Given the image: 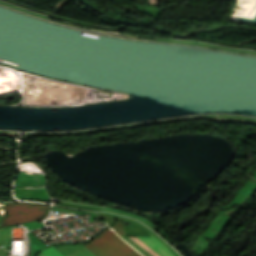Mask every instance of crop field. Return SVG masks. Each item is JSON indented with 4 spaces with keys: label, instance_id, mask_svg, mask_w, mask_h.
I'll list each match as a JSON object with an SVG mask.
<instances>
[{
    "label": "crop field",
    "instance_id": "obj_1",
    "mask_svg": "<svg viewBox=\"0 0 256 256\" xmlns=\"http://www.w3.org/2000/svg\"><path fill=\"white\" fill-rule=\"evenodd\" d=\"M86 247L97 256H140L122 241L112 230H107L96 237Z\"/></svg>",
    "mask_w": 256,
    "mask_h": 256
},
{
    "label": "crop field",
    "instance_id": "obj_2",
    "mask_svg": "<svg viewBox=\"0 0 256 256\" xmlns=\"http://www.w3.org/2000/svg\"><path fill=\"white\" fill-rule=\"evenodd\" d=\"M50 206L9 203L1 227L46 219Z\"/></svg>",
    "mask_w": 256,
    "mask_h": 256
},
{
    "label": "crop field",
    "instance_id": "obj_3",
    "mask_svg": "<svg viewBox=\"0 0 256 256\" xmlns=\"http://www.w3.org/2000/svg\"><path fill=\"white\" fill-rule=\"evenodd\" d=\"M151 237L147 238H141L138 237L140 240H142L146 245L151 247L153 250H155L157 253H159L161 256H173L169 250H167L162 243L154 238L151 234Z\"/></svg>",
    "mask_w": 256,
    "mask_h": 256
},
{
    "label": "crop field",
    "instance_id": "obj_4",
    "mask_svg": "<svg viewBox=\"0 0 256 256\" xmlns=\"http://www.w3.org/2000/svg\"><path fill=\"white\" fill-rule=\"evenodd\" d=\"M41 253L44 254L45 256H64L54 247L47 248L43 250Z\"/></svg>",
    "mask_w": 256,
    "mask_h": 256
},
{
    "label": "crop field",
    "instance_id": "obj_5",
    "mask_svg": "<svg viewBox=\"0 0 256 256\" xmlns=\"http://www.w3.org/2000/svg\"><path fill=\"white\" fill-rule=\"evenodd\" d=\"M131 238L134 242H136L138 245H140L142 248H144L146 251H148L150 254H152L153 256H159L155 251H153L152 249H150L148 246H146L143 242H141L138 238Z\"/></svg>",
    "mask_w": 256,
    "mask_h": 256
},
{
    "label": "crop field",
    "instance_id": "obj_6",
    "mask_svg": "<svg viewBox=\"0 0 256 256\" xmlns=\"http://www.w3.org/2000/svg\"><path fill=\"white\" fill-rule=\"evenodd\" d=\"M158 0H150V3H155L157 4Z\"/></svg>",
    "mask_w": 256,
    "mask_h": 256
},
{
    "label": "crop field",
    "instance_id": "obj_7",
    "mask_svg": "<svg viewBox=\"0 0 256 256\" xmlns=\"http://www.w3.org/2000/svg\"><path fill=\"white\" fill-rule=\"evenodd\" d=\"M40 256H43L42 254Z\"/></svg>",
    "mask_w": 256,
    "mask_h": 256
}]
</instances>
